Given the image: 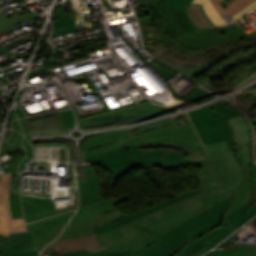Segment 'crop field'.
Segmentation results:
<instances>
[{"mask_svg": "<svg viewBox=\"0 0 256 256\" xmlns=\"http://www.w3.org/2000/svg\"><path fill=\"white\" fill-rule=\"evenodd\" d=\"M232 200L233 196L207 208L166 231L157 242L128 256L201 255L236 230L232 226L225 227L222 224V216Z\"/></svg>", "mask_w": 256, "mask_h": 256, "instance_id": "crop-field-1", "label": "crop field"}, {"mask_svg": "<svg viewBox=\"0 0 256 256\" xmlns=\"http://www.w3.org/2000/svg\"><path fill=\"white\" fill-rule=\"evenodd\" d=\"M209 206L211 205L201 193L139 218L141 221L136 219L97 236L101 247H104L106 252L132 249L133 253H135L157 241L166 230L180 224Z\"/></svg>", "mask_w": 256, "mask_h": 256, "instance_id": "crop-field-2", "label": "crop field"}, {"mask_svg": "<svg viewBox=\"0 0 256 256\" xmlns=\"http://www.w3.org/2000/svg\"><path fill=\"white\" fill-rule=\"evenodd\" d=\"M214 166L229 192L221 197L224 199L235 193L245 181V175L238 164L234 151H229L226 140L205 145Z\"/></svg>", "mask_w": 256, "mask_h": 256, "instance_id": "crop-field-3", "label": "crop field"}, {"mask_svg": "<svg viewBox=\"0 0 256 256\" xmlns=\"http://www.w3.org/2000/svg\"><path fill=\"white\" fill-rule=\"evenodd\" d=\"M192 0H148L152 12L162 17L163 33L169 32L174 38L196 30L185 14L184 7Z\"/></svg>", "mask_w": 256, "mask_h": 256, "instance_id": "crop-field-4", "label": "crop field"}, {"mask_svg": "<svg viewBox=\"0 0 256 256\" xmlns=\"http://www.w3.org/2000/svg\"><path fill=\"white\" fill-rule=\"evenodd\" d=\"M188 115L203 144L227 139L229 149L234 150L231 129L220 113L205 107Z\"/></svg>", "mask_w": 256, "mask_h": 256, "instance_id": "crop-field-5", "label": "crop field"}, {"mask_svg": "<svg viewBox=\"0 0 256 256\" xmlns=\"http://www.w3.org/2000/svg\"><path fill=\"white\" fill-rule=\"evenodd\" d=\"M221 31L225 32L226 35H219L215 33L212 28H204L189 32L180 37L175 38L180 44L187 48H206L219 44L236 41L242 38H249L256 36V31L246 34L242 29L245 27L241 23L235 21L232 24L225 27H218Z\"/></svg>", "mask_w": 256, "mask_h": 256, "instance_id": "crop-field-6", "label": "crop field"}, {"mask_svg": "<svg viewBox=\"0 0 256 256\" xmlns=\"http://www.w3.org/2000/svg\"><path fill=\"white\" fill-rule=\"evenodd\" d=\"M94 161L116 180L138 166H151L139 150L126 152L124 147L84 158Z\"/></svg>", "mask_w": 256, "mask_h": 256, "instance_id": "crop-field-7", "label": "crop field"}, {"mask_svg": "<svg viewBox=\"0 0 256 256\" xmlns=\"http://www.w3.org/2000/svg\"><path fill=\"white\" fill-rule=\"evenodd\" d=\"M153 22L154 21H140L146 48L147 49L151 48L155 52V54L160 58V60L164 61L175 70L183 73L184 75L190 78L201 73L213 63L212 61H210L211 63L207 64V66L204 68L200 67V65L188 68L178 64H171L166 59L162 58V54L166 51V49L162 45H159L158 48L152 47L151 45L157 42ZM164 43L169 46L170 50L182 56H193V55H197L205 52L204 49H195V50L186 49L183 46H181L175 39L170 41H165Z\"/></svg>", "mask_w": 256, "mask_h": 256, "instance_id": "crop-field-8", "label": "crop field"}, {"mask_svg": "<svg viewBox=\"0 0 256 256\" xmlns=\"http://www.w3.org/2000/svg\"><path fill=\"white\" fill-rule=\"evenodd\" d=\"M173 111H177V110H173L160 105H154L150 102H147V103H142V104L133 105L127 108L119 109L116 111L83 118L81 119V125L88 126V125H94V124H100V123L114 122L115 119L113 115H116V114L121 115L123 117L122 122L119 123V124H122V123L137 122V121L150 119V118L167 114Z\"/></svg>", "mask_w": 256, "mask_h": 256, "instance_id": "crop-field-9", "label": "crop field"}, {"mask_svg": "<svg viewBox=\"0 0 256 256\" xmlns=\"http://www.w3.org/2000/svg\"><path fill=\"white\" fill-rule=\"evenodd\" d=\"M246 181L235 193L234 201L223 216L224 225L241 226L256 214V205L250 206L252 194L251 165L243 167Z\"/></svg>", "mask_w": 256, "mask_h": 256, "instance_id": "crop-field-10", "label": "crop field"}, {"mask_svg": "<svg viewBox=\"0 0 256 256\" xmlns=\"http://www.w3.org/2000/svg\"><path fill=\"white\" fill-rule=\"evenodd\" d=\"M158 146L178 147L183 151L182 154L185 157L190 159L192 162H194L198 166L210 163L197 137V134L191 135L185 138H181V139L158 140V141L128 145L124 147L128 151V150H135L139 148L158 147Z\"/></svg>", "mask_w": 256, "mask_h": 256, "instance_id": "crop-field-11", "label": "crop field"}, {"mask_svg": "<svg viewBox=\"0 0 256 256\" xmlns=\"http://www.w3.org/2000/svg\"><path fill=\"white\" fill-rule=\"evenodd\" d=\"M74 211L65 212L41 221L27 224L32 238V248L41 252L44 246L55 239Z\"/></svg>", "mask_w": 256, "mask_h": 256, "instance_id": "crop-field-12", "label": "crop field"}, {"mask_svg": "<svg viewBox=\"0 0 256 256\" xmlns=\"http://www.w3.org/2000/svg\"><path fill=\"white\" fill-rule=\"evenodd\" d=\"M195 133L196 132L191 124L178 128L176 124L173 123L165 127L134 136L132 138L120 140V142L122 146H124L132 143L152 141L158 139L181 138Z\"/></svg>", "mask_w": 256, "mask_h": 256, "instance_id": "crop-field-13", "label": "crop field"}, {"mask_svg": "<svg viewBox=\"0 0 256 256\" xmlns=\"http://www.w3.org/2000/svg\"><path fill=\"white\" fill-rule=\"evenodd\" d=\"M123 216L126 215L114 206L106 211L97 214L98 218L91 222L63 231L62 235L58 237L56 241L94 234L92 228L121 218Z\"/></svg>", "mask_w": 256, "mask_h": 256, "instance_id": "crop-field-14", "label": "crop field"}, {"mask_svg": "<svg viewBox=\"0 0 256 256\" xmlns=\"http://www.w3.org/2000/svg\"><path fill=\"white\" fill-rule=\"evenodd\" d=\"M199 193H201L200 189H196V190L186 192L184 194H181V195L175 196L173 198H170V199H168V200H166L162 203L156 204L154 206H151V207H148L146 209L140 210L138 212L130 214V215H128L126 217H123L121 219H118V220H115V221L110 222L108 224H105V225L99 226L97 228H94V231H95L96 234L106 232L108 230L114 229V228H116L118 226H121L123 224H126V223H128V222H130V221H132L136 218H139V217H141L145 214H148L150 212L156 211V210L161 209L163 207L169 206L171 204H174L176 202H179L181 200H184L186 198H189V197L194 196V195L199 194Z\"/></svg>", "mask_w": 256, "mask_h": 256, "instance_id": "crop-field-15", "label": "crop field"}, {"mask_svg": "<svg viewBox=\"0 0 256 256\" xmlns=\"http://www.w3.org/2000/svg\"><path fill=\"white\" fill-rule=\"evenodd\" d=\"M197 175L200 179V188L211 205L223 200L219 195L224 194L225 191L212 164L202 166Z\"/></svg>", "mask_w": 256, "mask_h": 256, "instance_id": "crop-field-16", "label": "crop field"}, {"mask_svg": "<svg viewBox=\"0 0 256 256\" xmlns=\"http://www.w3.org/2000/svg\"><path fill=\"white\" fill-rule=\"evenodd\" d=\"M126 199H128V196L124 194L121 196L107 199L99 203H95L86 207L79 208L77 209V211L75 212L74 216L72 217V219L70 220V222L68 223L65 229L72 228L80 224L86 223L96 218L95 214L103 210H106Z\"/></svg>", "mask_w": 256, "mask_h": 256, "instance_id": "crop-field-17", "label": "crop field"}, {"mask_svg": "<svg viewBox=\"0 0 256 256\" xmlns=\"http://www.w3.org/2000/svg\"><path fill=\"white\" fill-rule=\"evenodd\" d=\"M152 166L165 169L191 164L192 162L172 149L143 152Z\"/></svg>", "mask_w": 256, "mask_h": 256, "instance_id": "crop-field-18", "label": "crop field"}, {"mask_svg": "<svg viewBox=\"0 0 256 256\" xmlns=\"http://www.w3.org/2000/svg\"><path fill=\"white\" fill-rule=\"evenodd\" d=\"M87 181L78 182L80 206H86L104 200L97 187V174L86 166Z\"/></svg>", "mask_w": 256, "mask_h": 256, "instance_id": "crop-field-19", "label": "crop field"}, {"mask_svg": "<svg viewBox=\"0 0 256 256\" xmlns=\"http://www.w3.org/2000/svg\"><path fill=\"white\" fill-rule=\"evenodd\" d=\"M11 174L3 175L0 180V205H4L8 228L10 233L25 232L27 231L23 218L12 219L9 203L8 193L10 185Z\"/></svg>", "mask_w": 256, "mask_h": 256, "instance_id": "crop-field-20", "label": "crop field"}, {"mask_svg": "<svg viewBox=\"0 0 256 256\" xmlns=\"http://www.w3.org/2000/svg\"><path fill=\"white\" fill-rule=\"evenodd\" d=\"M99 247L96 237H83L77 239H71L61 242H55L46 247V249L54 248L56 253L72 252L76 250H87L91 248ZM45 249V250H46Z\"/></svg>", "mask_w": 256, "mask_h": 256, "instance_id": "crop-field-21", "label": "crop field"}, {"mask_svg": "<svg viewBox=\"0 0 256 256\" xmlns=\"http://www.w3.org/2000/svg\"><path fill=\"white\" fill-rule=\"evenodd\" d=\"M131 130H124V131H116L112 133H107L103 135H98L89 138L88 141L84 142V150H90L99 146H102L107 143H111L123 138L133 136L130 132Z\"/></svg>", "mask_w": 256, "mask_h": 256, "instance_id": "crop-field-22", "label": "crop field"}, {"mask_svg": "<svg viewBox=\"0 0 256 256\" xmlns=\"http://www.w3.org/2000/svg\"><path fill=\"white\" fill-rule=\"evenodd\" d=\"M233 133L234 143L250 144L248 126L241 115L227 120Z\"/></svg>", "mask_w": 256, "mask_h": 256, "instance_id": "crop-field-23", "label": "crop field"}, {"mask_svg": "<svg viewBox=\"0 0 256 256\" xmlns=\"http://www.w3.org/2000/svg\"><path fill=\"white\" fill-rule=\"evenodd\" d=\"M188 18L196 26L197 29L202 27L215 26L213 22L205 14L201 4L190 3L185 7Z\"/></svg>", "mask_w": 256, "mask_h": 256, "instance_id": "crop-field-24", "label": "crop field"}, {"mask_svg": "<svg viewBox=\"0 0 256 256\" xmlns=\"http://www.w3.org/2000/svg\"><path fill=\"white\" fill-rule=\"evenodd\" d=\"M210 1L214 8L217 10V12L220 14V16L229 24L233 21L230 17L232 14L247 6L254 0H234L225 10L220 5L219 0Z\"/></svg>", "mask_w": 256, "mask_h": 256, "instance_id": "crop-field-25", "label": "crop field"}, {"mask_svg": "<svg viewBox=\"0 0 256 256\" xmlns=\"http://www.w3.org/2000/svg\"><path fill=\"white\" fill-rule=\"evenodd\" d=\"M131 250L125 252L106 253L104 248L91 249L87 251H76L72 253L56 254L52 256H123L131 254Z\"/></svg>", "mask_w": 256, "mask_h": 256, "instance_id": "crop-field-26", "label": "crop field"}, {"mask_svg": "<svg viewBox=\"0 0 256 256\" xmlns=\"http://www.w3.org/2000/svg\"><path fill=\"white\" fill-rule=\"evenodd\" d=\"M31 19H35L34 14H29V15L15 17V18H12V17L7 18L2 11L0 12V32L14 27L13 24L28 21Z\"/></svg>", "mask_w": 256, "mask_h": 256, "instance_id": "crop-field-27", "label": "crop field"}, {"mask_svg": "<svg viewBox=\"0 0 256 256\" xmlns=\"http://www.w3.org/2000/svg\"><path fill=\"white\" fill-rule=\"evenodd\" d=\"M192 2L202 3L207 15L216 26L226 25L227 23L218 15L209 0H193Z\"/></svg>", "mask_w": 256, "mask_h": 256, "instance_id": "crop-field-28", "label": "crop field"}, {"mask_svg": "<svg viewBox=\"0 0 256 256\" xmlns=\"http://www.w3.org/2000/svg\"><path fill=\"white\" fill-rule=\"evenodd\" d=\"M236 156L241 166L251 164L250 145L234 144ZM246 156V158H244Z\"/></svg>", "mask_w": 256, "mask_h": 256, "instance_id": "crop-field-29", "label": "crop field"}, {"mask_svg": "<svg viewBox=\"0 0 256 256\" xmlns=\"http://www.w3.org/2000/svg\"><path fill=\"white\" fill-rule=\"evenodd\" d=\"M0 241L7 242V243H25L32 241L29 233H16V234H10V238L3 237L0 235Z\"/></svg>", "mask_w": 256, "mask_h": 256, "instance_id": "crop-field-30", "label": "crop field"}, {"mask_svg": "<svg viewBox=\"0 0 256 256\" xmlns=\"http://www.w3.org/2000/svg\"><path fill=\"white\" fill-rule=\"evenodd\" d=\"M170 123H173V121L170 118H167V119H163V120H159V121L139 125L137 127H140V131H137L136 135L140 134V133H143V132L150 131V130L155 129V128L165 126V125L170 124Z\"/></svg>", "mask_w": 256, "mask_h": 256, "instance_id": "crop-field-31", "label": "crop field"}, {"mask_svg": "<svg viewBox=\"0 0 256 256\" xmlns=\"http://www.w3.org/2000/svg\"><path fill=\"white\" fill-rule=\"evenodd\" d=\"M215 110H217L218 112L221 113L222 116H224L226 119L231 118L233 116L239 115V113H237L235 110H233L232 108L226 106L224 103L219 102L216 104H213L211 106H209Z\"/></svg>", "mask_w": 256, "mask_h": 256, "instance_id": "crop-field-32", "label": "crop field"}, {"mask_svg": "<svg viewBox=\"0 0 256 256\" xmlns=\"http://www.w3.org/2000/svg\"><path fill=\"white\" fill-rule=\"evenodd\" d=\"M248 246H237L222 249L220 256H245Z\"/></svg>", "mask_w": 256, "mask_h": 256, "instance_id": "crop-field-33", "label": "crop field"}, {"mask_svg": "<svg viewBox=\"0 0 256 256\" xmlns=\"http://www.w3.org/2000/svg\"><path fill=\"white\" fill-rule=\"evenodd\" d=\"M122 147L119 141L85 152V157Z\"/></svg>", "mask_w": 256, "mask_h": 256, "instance_id": "crop-field-34", "label": "crop field"}, {"mask_svg": "<svg viewBox=\"0 0 256 256\" xmlns=\"http://www.w3.org/2000/svg\"><path fill=\"white\" fill-rule=\"evenodd\" d=\"M9 202L13 218L21 217L18 197H9Z\"/></svg>", "mask_w": 256, "mask_h": 256, "instance_id": "crop-field-35", "label": "crop field"}, {"mask_svg": "<svg viewBox=\"0 0 256 256\" xmlns=\"http://www.w3.org/2000/svg\"><path fill=\"white\" fill-rule=\"evenodd\" d=\"M150 66H152L157 72H159L161 75H163L165 78H167L168 80L177 76L176 74L164 69L162 66H160L159 64H157L156 62L152 61L150 63H148Z\"/></svg>", "mask_w": 256, "mask_h": 256, "instance_id": "crop-field-36", "label": "crop field"}, {"mask_svg": "<svg viewBox=\"0 0 256 256\" xmlns=\"http://www.w3.org/2000/svg\"><path fill=\"white\" fill-rule=\"evenodd\" d=\"M0 234L9 237L3 206H0Z\"/></svg>", "mask_w": 256, "mask_h": 256, "instance_id": "crop-field-37", "label": "crop field"}, {"mask_svg": "<svg viewBox=\"0 0 256 256\" xmlns=\"http://www.w3.org/2000/svg\"><path fill=\"white\" fill-rule=\"evenodd\" d=\"M39 254L34 251L29 252H7L3 251L1 256H38Z\"/></svg>", "mask_w": 256, "mask_h": 256, "instance_id": "crop-field-38", "label": "crop field"}, {"mask_svg": "<svg viewBox=\"0 0 256 256\" xmlns=\"http://www.w3.org/2000/svg\"><path fill=\"white\" fill-rule=\"evenodd\" d=\"M256 6V0L251 3L250 5H248L247 7L243 8L242 10H240L239 12H237L236 14L232 15L231 17L234 19H236L237 17L245 14L246 12H248L250 9H252L253 7Z\"/></svg>", "mask_w": 256, "mask_h": 256, "instance_id": "crop-field-39", "label": "crop field"}, {"mask_svg": "<svg viewBox=\"0 0 256 256\" xmlns=\"http://www.w3.org/2000/svg\"><path fill=\"white\" fill-rule=\"evenodd\" d=\"M31 246V245H30ZM30 246L27 247H20V248H14V247H3L0 246V253L2 252V250H7V251H28V250H32L30 248Z\"/></svg>", "mask_w": 256, "mask_h": 256, "instance_id": "crop-field-40", "label": "crop field"}, {"mask_svg": "<svg viewBox=\"0 0 256 256\" xmlns=\"http://www.w3.org/2000/svg\"><path fill=\"white\" fill-rule=\"evenodd\" d=\"M144 11H145V14L147 15V20H155L154 17H153V14L150 12V8L148 5L144 4V0H139Z\"/></svg>", "mask_w": 256, "mask_h": 256, "instance_id": "crop-field-41", "label": "crop field"}, {"mask_svg": "<svg viewBox=\"0 0 256 256\" xmlns=\"http://www.w3.org/2000/svg\"><path fill=\"white\" fill-rule=\"evenodd\" d=\"M16 150H18L17 145L2 150V151L0 152V155L7 154V153H10V152H13V151H16Z\"/></svg>", "mask_w": 256, "mask_h": 256, "instance_id": "crop-field-42", "label": "crop field"}, {"mask_svg": "<svg viewBox=\"0 0 256 256\" xmlns=\"http://www.w3.org/2000/svg\"><path fill=\"white\" fill-rule=\"evenodd\" d=\"M247 256H256V247L249 246Z\"/></svg>", "mask_w": 256, "mask_h": 256, "instance_id": "crop-field-43", "label": "crop field"}, {"mask_svg": "<svg viewBox=\"0 0 256 256\" xmlns=\"http://www.w3.org/2000/svg\"><path fill=\"white\" fill-rule=\"evenodd\" d=\"M253 187H256V165L252 166Z\"/></svg>", "mask_w": 256, "mask_h": 256, "instance_id": "crop-field-44", "label": "crop field"}, {"mask_svg": "<svg viewBox=\"0 0 256 256\" xmlns=\"http://www.w3.org/2000/svg\"><path fill=\"white\" fill-rule=\"evenodd\" d=\"M31 243H32V242H30V243H25V244H6V243L0 242V245H3V246L20 247V246H27V245H30Z\"/></svg>", "mask_w": 256, "mask_h": 256, "instance_id": "crop-field-45", "label": "crop field"}, {"mask_svg": "<svg viewBox=\"0 0 256 256\" xmlns=\"http://www.w3.org/2000/svg\"><path fill=\"white\" fill-rule=\"evenodd\" d=\"M3 169H4V171H6V173L17 171L15 166L5 167Z\"/></svg>", "mask_w": 256, "mask_h": 256, "instance_id": "crop-field-46", "label": "crop field"}, {"mask_svg": "<svg viewBox=\"0 0 256 256\" xmlns=\"http://www.w3.org/2000/svg\"><path fill=\"white\" fill-rule=\"evenodd\" d=\"M194 105H197V104H194V103L190 102V103L184 104L182 106H179L177 108L184 109V108H187V107H190V106H194Z\"/></svg>", "mask_w": 256, "mask_h": 256, "instance_id": "crop-field-47", "label": "crop field"}, {"mask_svg": "<svg viewBox=\"0 0 256 256\" xmlns=\"http://www.w3.org/2000/svg\"><path fill=\"white\" fill-rule=\"evenodd\" d=\"M101 47H102V46L93 47L92 49L95 50V49H98V48H101ZM93 50H90V51H88V52H86V53H83V54H87V53H89V52H91V51H93ZM80 55H82V54H80ZM80 55H76V56L69 57L67 60H71V59H73V58H75V57H78V56H80Z\"/></svg>", "mask_w": 256, "mask_h": 256, "instance_id": "crop-field-48", "label": "crop field"}, {"mask_svg": "<svg viewBox=\"0 0 256 256\" xmlns=\"http://www.w3.org/2000/svg\"><path fill=\"white\" fill-rule=\"evenodd\" d=\"M233 0H224L221 5L224 7V9L232 2Z\"/></svg>", "mask_w": 256, "mask_h": 256, "instance_id": "crop-field-49", "label": "crop field"}, {"mask_svg": "<svg viewBox=\"0 0 256 256\" xmlns=\"http://www.w3.org/2000/svg\"><path fill=\"white\" fill-rule=\"evenodd\" d=\"M218 251H219V250L212 251V252H210V253H208V254H206V255H204V256H217V255H218Z\"/></svg>", "mask_w": 256, "mask_h": 256, "instance_id": "crop-field-50", "label": "crop field"}, {"mask_svg": "<svg viewBox=\"0 0 256 256\" xmlns=\"http://www.w3.org/2000/svg\"><path fill=\"white\" fill-rule=\"evenodd\" d=\"M16 108H17V110L19 111L21 117H22V118H25L26 115L24 114V112H23L18 106H16Z\"/></svg>", "mask_w": 256, "mask_h": 256, "instance_id": "crop-field-51", "label": "crop field"}, {"mask_svg": "<svg viewBox=\"0 0 256 256\" xmlns=\"http://www.w3.org/2000/svg\"><path fill=\"white\" fill-rule=\"evenodd\" d=\"M0 115L4 117V115L1 113V111H0Z\"/></svg>", "mask_w": 256, "mask_h": 256, "instance_id": "crop-field-52", "label": "crop field"}, {"mask_svg": "<svg viewBox=\"0 0 256 256\" xmlns=\"http://www.w3.org/2000/svg\"><path fill=\"white\" fill-rule=\"evenodd\" d=\"M223 0H220V2H222Z\"/></svg>", "mask_w": 256, "mask_h": 256, "instance_id": "crop-field-53", "label": "crop field"}, {"mask_svg": "<svg viewBox=\"0 0 256 256\" xmlns=\"http://www.w3.org/2000/svg\"><path fill=\"white\" fill-rule=\"evenodd\" d=\"M256 11V9H254Z\"/></svg>", "mask_w": 256, "mask_h": 256, "instance_id": "crop-field-54", "label": "crop field"}]
</instances>
